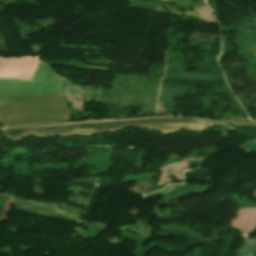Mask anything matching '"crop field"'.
Instances as JSON below:
<instances>
[{"label":"crop field","instance_id":"8a807250","mask_svg":"<svg viewBox=\"0 0 256 256\" xmlns=\"http://www.w3.org/2000/svg\"><path fill=\"white\" fill-rule=\"evenodd\" d=\"M130 125H136L144 128L159 130L164 134L176 132L179 129L187 128L195 131H203L209 127L220 126L207 121L193 120V119H139V120H125L114 122H102L91 124H77V125H62L41 128L28 129H12L3 130V135L19 140L29 134H34L36 137L52 136V135H83L87 136L97 132H111Z\"/></svg>","mask_w":256,"mask_h":256},{"label":"crop field","instance_id":"ac0d7876","mask_svg":"<svg viewBox=\"0 0 256 256\" xmlns=\"http://www.w3.org/2000/svg\"><path fill=\"white\" fill-rule=\"evenodd\" d=\"M42 120H70L62 93L0 98L4 126Z\"/></svg>","mask_w":256,"mask_h":256},{"label":"crop field","instance_id":"34b2d1b8","mask_svg":"<svg viewBox=\"0 0 256 256\" xmlns=\"http://www.w3.org/2000/svg\"><path fill=\"white\" fill-rule=\"evenodd\" d=\"M53 72L48 65L40 60L30 81L0 79V96L38 94Z\"/></svg>","mask_w":256,"mask_h":256},{"label":"crop field","instance_id":"412701ff","mask_svg":"<svg viewBox=\"0 0 256 256\" xmlns=\"http://www.w3.org/2000/svg\"><path fill=\"white\" fill-rule=\"evenodd\" d=\"M38 62V57L0 58V78L30 80Z\"/></svg>","mask_w":256,"mask_h":256},{"label":"crop field","instance_id":"f4fd0767","mask_svg":"<svg viewBox=\"0 0 256 256\" xmlns=\"http://www.w3.org/2000/svg\"><path fill=\"white\" fill-rule=\"evenodd\" d=\"M255 240L256 239L244 238L237 256H252Z\"/></svg>","mask_w":256,"mask_h":256}]
</instances>
